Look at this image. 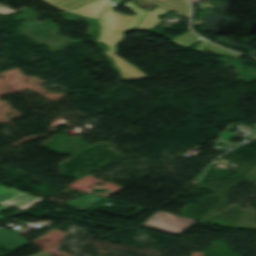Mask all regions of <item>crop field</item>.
<instances>
[{
  "label": "crop field",
  "instance_id": "crop-field-1",
  "mask_svg": "<svg viewBox=\"0 0 256 256\" xmlns=\"http://www.w3.org/2000/svg\"><path fill=\"white\" fill-rule=\"evenodd\" d=\"M152 218H155L154 220ZM195 220L184 217L164 213L158 210L149 219H147L141 226L156 229L159 231L180 235L185 231Z\"/></svg>",
  "mask_w": 256,
  "mask_h": 256
},
{
  "label": "crop field",
  "instance_id": "crop-field-2",
  "mask_svg": "<svg viewBox=\"0 0 256 256\" xmlns=\"http://www.w3.org/2000/svg\"><path fill=\"white\" fill-rule=\"evenodd\" d=\"M44 198L34 197L30 194L22 193L15 188L8 189L0 187V210L15 205L22 210L28 209L40 202Z\"/></svg>",
  "mask_w": 256,
  "mask_h": 256
},
{
  "label": "crop field",
  "instance_id": "crop-field-3",
  "mask_svg": "<svg viewBox=\"0 0 256 256\" xmlns=\"http://www.w3.org/2000/svg\"><path fill=\"white\" fill-rule=\"evenodd\" d=\"M105 26L104 25H99V36L96 39V42H102L103 39L105 38L104 36V30H105Z\"/></svg>",
  "mask_w": 256,
  "mask_h": 256
},
{
  "label": "crop field",
  "instance_id": "crop-field-4",
  "mask_svg": "<svg viewBox=\"0 0 256 256\" xmlns=\"http://www.w3.org/2000/svg\"><path fill=\"white\" fill-rule=\"evenodd\" d=\"M1 6H4V5H1ZM5 7L7 8L0 7V14L7 15V14L15 13V11L8 9V6H5Z\"/></svg>",
  "mask_w": 256,
  "mask_h": 256
},
{
  "label": "crop field",
  "instance_id": "crop-field-5",
  "mask_svg": "<svg viewBox=\"0 0 256 256\" xmlns=\"http://www.w3.org/2000/svg\"><path fill=\"white\" fill-rule=\"evenodd\" d=\"M115 14L119 15L122 20H129V19H131V18L134 17V15H133V16H130V17H127V16L121 15V14H119V13H117V12H115Z\"/></svg>",
  "mask_w": 256,
  "mask_h": 256
},
{
  "label": "crop field",
  "instance_id": "crop-field-6",
  "mask_svg": "<svg viewBox=\"0 0 256 256\" xmlns=\"http://www.w3.org/2000/svg\"><path fill=\"white\" fill-rule=\"evenodd\" d=\"M20 213H22V211L16 212V213H12V214H9V215H5V216H0V219L3 218V217L12 216V215H17V214H20Z\"/></svg>",
  "mask_w": 256,
  "mask_h": 256
},
{
  "label": "crop field",
  "instance_id": "crop-field-7",
  "mask_svg": "<svg viewBox=\"0 0 256 256\" xmlns=\"http://www.w3.org/2000/svg\"><path fill=\"white\" fill-rule=\"evenodd\" d=\"M190 2L201 1V0H189Z\"/></svg>",
  "mask_w": 256,
  "mask_h": 256
},
{
  "label": "crop field",
  "instance_id": "crop-field-8",
  "mask_svg": "<svg viewBox=\"0 0 256 256\" xmlns=\"http://www.w3.org/2000/svg\"><path fill=\"white\" fill-rule=\"evenodd\" d=\"M213 53H218V54H222V53H220V52H213Z\"/></svg>",
  "mask_w": 256,
  "mask_h": 256
},
{
  "label": "crop field",
  "instance_id": "crop-field-9",
  "mask_svg": "<svg viewBox=\"0 0 256 256\" xmlns=\"http://www.w3.org/2000/svg\"><path fill=\"white\" fill-rule=\"evenodd\" d=\"M255 140H256V138H255Z\"/></svg>",
  "mask_w": 256,
  "mask_h": 256
}]
</instances>
